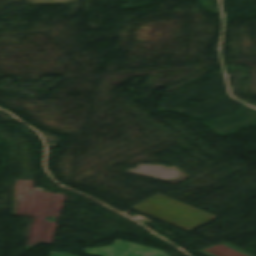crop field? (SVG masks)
Returning <instances> with one entry per match:
<instances>
[{
    "instance_id": "obj_4",
    "label": "crop field",
    "mask_w": 256,
    "mask_h": 256,
    "mask_svg": "<svg viewBox=\"0 0 256 256\" xmlns=\"http://www.w3.org/2000/svg\"><path fill=\"white\" fill-rule=\"evenodd\" d=\"M50 256H71V255H66V254H60V253L51 252V253H50Z\"/></svg>"
},
{
    "instance_id": "obj_1",
    "label": "crop field",
    "mask_w": 256,
    "mask_h": 256,
    "mask_svg": "<svg viewBox=\"0 0 256 256\" xmlns=\"http://www.w3.org/2000/svg\"><path fill=\"white\" fill-rule=\"evenodd\" d=\"M133 208L188 231L215 218L161 195H157Z\"/></svg>"
},
{
    "instance_id": "obj_2",
    "label": "crop field",
    "mask_w": 256,
    "mask_h": 256,
    "mask_svg": "<svg viewBox=\"0 0 256 256\" xmlns=\"http://www.w3.org/2000/svg\"><path fill=\"white\" fill-rule=\"evenodd\" d=\"M86 254L99 256H168L166 253L117 239L110 247L84 249Z\"/></svg>"
},
{
    "instance_id": "obj_3",
    "label": "crop field",
    "mask_w": 256,
    "mask_h": 256,
    "mask_svg": "<svg viewBox=\"0 0 256 256\" xmlns=\"http://www.w3.org/2000/svg\"><path fill=\"white\" fill-rule=\"evenodd\" d=\"M201 253L207 256H253L227 243L218 244L214 247L202 251Z\"/></svg>"
}]
</instances>
